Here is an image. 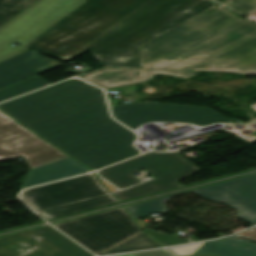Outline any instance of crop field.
Returning <instances> with one entry per match:
<instances>
[{"label":"crop field","mask_w":256,"mask_h":256,"mask_svg":"<svg viewBox=\"0 0 256 256\" xmlns=\"http://www.w3.org/2000/svg\"><path fill=\"white\" fill-rule=\"evenodd\" d=\"M214 5L205 0H88L25 48L64 62L90 49L103 67L141 68V44Z\"/></svg>","instance_id":"8a807250"},{"label":"crop field","mask_w":256,"mask_h":256,"mask_svg":"<svg viewBox=\"0 0 256 256\" xmlns=\"http://www.w3.org/2000/svg\"><path fill=\"white\" fill-rule=\"evenodd\" d=\"M0 110L96 170L140 152L137 135L109 117L103 89L74 78L0 105Z\"/></svg>","instance_id":"ac0d7876"},{"label":"crop field","mask_w":256,"mask_h":256,"mask_svg":"<svg viewBox=\"0 0 256 256\" xmlns=\"http://www.w3.org/2000/svg\"><path fill=\"white\" fill-rule=\"evenodd\" d=\"M148 69L256 71V24L214 6L140 46Z\"/></svg>","instance_id":"34b2d1b8"},{"label":"crop field","mask_w":256,"mask_h":256,"mask_svg":"<svg viewBox=\"0 0 256 256\" xmlns=\"http://www.w3.org/2000/svg\"><path fill=\"white\" fill-rule=\"evenodd\" d=\"M147 169L156 179L125 191L114 193L120 200H127L151 193L180 187L175 181L200 169L177 153L150 152L99 171L100 175L123 189L141 182L132 174L139 169Z\"/></svg>","instance_id":"412701ff"},{"label":"crop field","mask_w":256,"mask_h":256,"mask_svg":"<svg viewBox=\"0 0 256 256\" xmlns=\"http://www.w3.org/2000/svg\"><path fill=\"white\" fill-rule=\"evenodd\" d=\"M86 0H38L0 28V62L26 51L23 47ZM20 44L16 47L12 44Z\"/></svg>","instance_id":"f4fd0767"},{"label":"crop field","mask_w":256,"mask_h":256,"mask_svg":"<svg viewBox=\"0 0 256 256\" xmlns=\"http://www.w3.org/2000/svg\"><path fill=\"white\" fill-rule=\"evenodd\" d=\"M54 226L95 255L142 231L131 220L125 207Z\"/></svg>","instance_id":"dd49c442"},{"label":"crop field","mask_w":256,"mask_h":256,"mask_svg":"<svg viewBox=\"0 0 256 256\" xmlns=\"http://www.w3.org/2000/svg\"><path fill=\"white\" fill-rule=\"evenodd\" d=\"M205 199L223 203L237 210L238 218L254 226L256 225V175L192 190ZM184 192L132 206L127 209L133 219L144 217L150 213L168 211L165 202L171 197L189 193Z\"/></svg>","instance_id":"e52e79f7"},{"label":"crop field","mask_w":256,"mask_h":256,"mask_svg":"<svg viewBox=\"0 0 256 256\" xmlns=\"http://www.w3.org/2000/svg\"><path fill=\"white\" fill-rule=\"evenodd\" d=\"M111 112L131 130L148 122H181L194 126L233 123L209 108L153 102L111 107Z\"/></svg>","instance_id":"d8731c3e"},{"label":"crop field","mask_w":256,"mask_h":256,"mask_svg":"<svg viewBox=\"0 0 256 256\" xmlns=\"http://www.w3.org/2000/svg\"><path fill=\"white\" fill-rule=\"evenodd\" d=\"M0 256H93L47 226L0 238Z\"/></svg>","instance_id":"5a996713"},{"label":"crop field","mask_w":256,"mask_h":256,"mask_svg":"<svg viewBox=\"0 0 256 256\" xmlns=\"http://www.w3.org/2000/svg\"><path fill=\"white\" fill-rule=\"evenodd\" d=\"M20 155L31 169L68 157L0 112V159Z\"/></svg>","instance_id":"3316defc"},{"label":"crop field","mask_w":256,"mask_h":256,"mask_svg":"<svg viewBox=\"0 0 256 256\" xmlns=\"http://www.w3.org/2000/svg\"><path fill=\"white\" fill-rule=\"evenodd\" d=\"M105 193L109 191L93 173L26 190L22 197L37 211Z\"/></svg>","instance_id":"28ad6ade"},{"label":"crop field","mask_w":256,"mask_h":256,"mask_svg":"<svg viewBox=\"0 0 256 256\" xmlns=\"http://www.w3.org/2000/svg\"><path fill=\"white\" fill-rule=\"evenodd\" d=\"M61 65L28 50L0 63V90Z\"/></svg>","instance_id":"d1516ede"},{"label":"crop field","mask_w":256,"mask_h":256,"mask_svg":"<svg viewBox=\"0 0 256 256\" xmlns=\"http://www.w3.org/2000/svg\"><path fill=\"white\" fill-rule=\"evenodd\" d=\"M159 73H164L180 78H190L197 72L102 68L81 77L86 82H89L93 85L109 88L147 81Z\"/></svg>","instance_id":"22f410ed"},{"label":"crop field","mask_w":256,"mask_h":256,"mask_svg":"<svg viewBox=\"0 0 256 256\" xmlns=\"http://www.w3.org/2000/svg\"><path fill=\"white\" fill-rule=\"evenodd\" d=\"M87 172H91V170L71 158H67L29 171L21 188L23 189Z\"/></svg>","instance_id":"cbeb9de0"},{"label":"crop field","mask_w":256,"mask_h":256,"mask_svg":"<svg viewBox=\"0 0 256 256\" xmlns=\"http://www.w3.org/2000/svg\"><path fill=\"white\" fill-rule=\"evenodd\" d=\"M195 254H215L220 256H256V244L229 237L205 243Z\"/></svg>","instance_id":"5142ce71"},{"label":"crop field","mask_w":256,"mask_h":256,"mask_svg":"<svg viewBox=\"0 0 256 256\" xmlns=\"http://www.w3.org/2000/svg\"><path fill=\"white\" fill-rule=\"evenodd\" d=\"M117 202L118 201L115 199V197L112 194H110V195L78 202L75 204L43 211V212H40L39 214L45 219L49 220V219H53V218L65 216L68 214H72V213H76V212H80V211H84V210H88V209H92L100 206H105V205H109Z\"/></svg>","instance_id":"d9b57169"},{"label":"crop field","mask_w":256,"mask_h":256,"mask_svg":"<svg viewBox=\"0 0 256 256\" xmlns=\"http://www.w3.org/2000/svg\"><path fill=\"white\" fill-rule=\"evenodd\" d=\"M156 247H163L158 242H156L151 236H149L145 231L132 237L131 239L117 245L116 247L110 249L109 251L103 253H120V252H130L138 251Z\"/></svg>","instance_id":"733c2abd"},{"label":"crop field","mask_w":256,"mask_h":256,"mask_svg":"<svg viewBox=\"0 0 256 256\" xmlns=\"http://www.w3.org/2000/svg\"><path fill=\"white\" fill-rule=\"evenodd\" d=\"M49 85L47 82L43 81L38 76L21 82L19 84L13 85L6 89L0 91V102L7 100L9 98L24 94L26 92L41 88L43 86Z\"/></svg>","instance_id":"4a817a6b"},{"label":"crop field","mask_w":256,"mask_h":256,"mask_svg":"<svg viewBox=\"0 0 256 256\" xmlns=\"http://www.w3.org/2000/svg\"><path fill=\"white\" fill-rule=\"evenodd\" d=\"M37 0H0V27Z\"/></svg>","instance_id":"bc2a9ffb"},{"label":"crop field","mask_w":256,"mask_h":256,"mask_svg":"<svg viewBox=\"0 0 256 256\" xmlns=\"http://www.w3.org/2000/svg\"><path fill=\"white\" fill-rule=\"evenodd\" d=\"M220 3L246 16L256 12V0H224Z\"/></svg>","instance_id":"214f88e0"},{"label":"crop field","mask_w":256,"mask_h":256,"mask_svg":"<svg viewBox=\"0 0 256 256\" xmlns=\"http://www.w3.org/2000/svg\"><path fill=\"white\" fill-rule=\"evenodd\" d=\"M146 232H148L150 235H152L154 238H156L158 241H160L165 246L189 242L188 239L176 238V237L168 236V235L157 233V232L150 231V230H147Z\"/></svg>","instance_id":"92a150f3"},{"label":"crop field","mask_w":256,"mask_h":256,"mask_svg":"<svg viewBox=\"0 0 256 256\" xmlns=\"http://www.w3.org/2000/svg\"><path fill=\"white\" fill-rule=\"evenodd\" d=\"M202 244L204 243L182 247H174L170 249L178 255H192Z\"/></svg>","instance_id":"dafd665d"},{"label":"crop field","mask_w":256,"mask_h":256,"mask_svg":"<svg viewBox=\"0 0 256 256\" xmlns=\"http://www.w3.org/2000/svg\"><path fill=\"white\" fill-rule=\"evenodd\" d=\"M117 256H174V255L167 250H161V251L144 252V253L124 254V255H117Z\"/></svg>","instance_id":"00972430"},{"label":"crop field","mask_w":256,"mask_h":256,"mask_svg":"<svg viewBox=\"0 0 256 256\" xmlns=\"http://www.w3.org/2000/svg\"><path fill=\"white\" fill-rule=\"evenodd\" d=\"M235 236L243 237L256 242V228L240 233Z\"/></svg>","instance_id":"a9b5d70f"},{"label":"crop field","mask_w":256,"mask_h":256,"mask_svg":"<svg viewBox=\"0 0 256 256\" xmlns=\"http://www.w3.org/2000/svg\"><path fill=\"white\" fill-rule=\"evenodd\" d=\"M101 181L104 183V185L111 191H115L116 188H114L113 186L109 185L108 183H106L104 180L101 179Z\"/></svg>","instance_id":"4177f3b9"},{"label":"crop field","mask_w":256,"mask_h":256,"mask_svg":"<svg viewBox=\"0 0 256 256\" xmlns=\"http://www.w3.org/2000/svg\"><path fill=\"white\" fill-rule=\"evenodd\" d=\"M252 109H254L256 111V104L251 106Z\"/></svg>","instance_id":"730fd06b"},{"label":"crop field","mask_w":256,"mask_h":256,"mask_svg":"<svg viewBox=\"0 0 256 256\" xmlns=\"http://www.w3.org/2000/svg\"><path fill=\"white\" fill-rule=\"evenodd\" d=\"M201 256H211V255H201Z\"/></svg>","instance_id":"eef30255"},{"label":"crop field","mask_w":256,"mask_h":256,"mask_svg":"<svg viewBox=\"0 0 256 256\" xmlns=\"http://www.w3.org/2000/svg\"><path fill=\"white\" fill-rule=\"evenodd\" d=\"M216 1L220 2V1H222V0H216Z\"/></svg>","instance_id":"ae1a2a85"}]
</instances>
